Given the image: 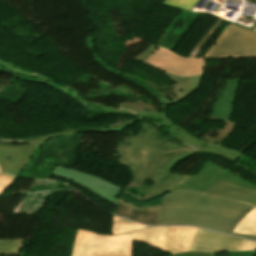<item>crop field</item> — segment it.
Here are the masks:
<instances>
[{"instance_id": "a9b5d70f", "label": "crop field", "mask_w": 256, "mask_h": 256, "mask_svg": "<svg viewBox=\"0 0 256 256\" xmlns=\"http://www.w3.org/2000/svg\"><path fill=\"white\" fill-rule=\"evenodd\" d=\"M173 256H216V253L188 252Z\"/></svg>"}, {"instance_id": "d9b57169", "label": "crop field", "mask_w": 256, "mask_h": 256, "mask_svg": "<svg viewBox=\"0 0 256 256\" xmlns=\"http://www.w3.org/2000/svg\"><path fill=\"white\" fill-rule=\"evenodd\" d=\"M0 71L1 72H7V73L15 75V76L24 77L28 80H33V81H38V82L49 84V85L65 92V93H67L71 97L76 94L75 91L71 90L70 88H68V87H66V86H64V85H62L58 82H55L53 80L47 79V78L42 77V76H39L37 74H33V73H30V72L20 70L18 68H15L13 66H10V65L2 63V62H0Z\"/></svg>"}, {"instance_id": "ae1a2a85", "label": "crop field", "mask_w": 256, "mask_h": 256, "mask_svg": "<svg viewBox=\"0 0 256 256\" xmlns=\"http://www.w3.org/2000/svg\"><path fill=\"white\" fill-rule=\"evenodd\" d=\"M72 98L75 99V101L79 102L81 105H83L85 108L87 107V105L89 104V102L87 100H85L82 96H80L78 93L73 96Z\"/></svg>"}, {"instance_id": "d1516ede", "label": "crop field", "mask_w": 256, "mask_h": 256, "mask_svg": "<svg viewBox=\"0 0 256 256\" xmlns=\"http://www.w3.org/2000/svg\"><path fill=\"white\" fill-rule=\"evenodd\" d=\"M170 129L172 131L168 134H170L172 137H175L181 140L186 144L193 146L195 150H197L198 152H209V153L218 154V155L227 157L233 160L234 162L238 159V157L241 155L244 149L248 148L250 145L255 143V141L250 142L249 144L244 146L241 149V151L238 152L229 148H225L223 146H218V145L206 142L204 140H198L196 137L191 136L190 134H188L186 131H184L177 125H172Z\"/></svg>"}, {"instance_id": "34b2d1b8", "label": "crop field", "mask_w": 256, "mask_h": 256, "mask_svg": "<svg viewBox=\"0 0 256 256\" xmlns=\"http://www.w3.org/2000/svg\"><path fill=\"white\" fill-rule=\"evenodd\" d=\"M167 227H150L123 235L77 230L70 256H133L135 241L163 250Z\"/></svg>"}, {"instance_id": "733c2abd", "label": "crop field", "mask_w": 256, "mask_h": 256, "mask_svg": "<svg viewBox=\"0 0 256 256\" xmlns=\"http://www.w3.org/2000/svg\"><path fill=\"white\" fill-rule=\"evenodd\" d=\"M114 213L149 225H157L159 216V212L138 211L132 208H127L119 203L118 208Z\"/></svg>"}, {"instance_id": "750c4746", "label": "crop field", "mask_w": 256, "mask_h": 256, "mask_svg": "<svg viewBox=\"0 0 256 256\" xmlns=\"http://www.w3.org/2000/svg\"><path fill=\"white\" fill-rule=\"evenodd\" d=\"M41 145L40 144H38V147H40Z\"/></svg>"}, {"instance_id": "28ad6ade", "label": "crop field", "mask_w": 256, "mask_h": 256, "mask_svg": "<svg viewBox=\"0 0 256 256\" xmlns=\"http://www.w3.org/2000/svg\"><path fill=\"white\" fill-rule=\"evenodd\" d=\"M158 47L154 45L148 46L144 51H142L136 58H134L135 61L145 63V60L153 53ZM156 68V67H155ZM158 69V68H156ZM160 70V69H158ZM162 73H164L166 76L170 77L174 83L175 89H173L178 99H174L172 97L165 96L164 98L159 100L160 103L165 102L167 105L176 104L180 100L186 98L190 94H192L194 91L197 90L198 87H200L202 76H195V77H179V76H173L165 71L160 70ZM161 93V92H160ZM162 94V93H161Z\"/></svg>"}, {"instance_id": "bc2a9ffb", "label": "crop field", "mask_w": 256, "mask_h": 256, "mask_svg": "<svg viewBox=\"0 0 256 256\" xmlns=\"http://www.w3.org/2000/svg\"><path fill=\"white\" fill-rule=\"evenodd\" d=\"M234 232L256 235V208L239 222Z\"/></svg>"}, {"instance_id": "4a817a6b", "label": "crop field", "mask_w": 256, "mask_h": 256, "mask_svg": "<svg viewBox=\"0 0 256 256\" xmlns=\"http://www.w3.org/2000/svg\"><path fill=\"white\" fill-rule=\"evenodd\" d=\"M144 228H147V227L113 216L111 234H120L125 232L138 231Z\"/></svg>"}, {"instance_id": "412701ff", "label": "crop field", "mask_w": 256, "mask_h": 256, "mask_svg": "<svg viewBox=\"0 0 256 256\" xmlns=\"http://www.w3.org/2000/svg\"><path fill=\"white\" fill-rule=\"evenodd\" d=\"M136 121L138 119L122 120L103 127L67 129L65 132L27 139L25 145L0 144V167L6 173L18 176L29 161L34 148L39 149L37 143L43 144L53 137L78 136L76 132H122L128 125H132Z\"/></svg>"}, {"instance_id": "4177f3b9", "label": "crop field", "mask_w": 256, "mask_h": 256, "mask_svg": "<svg viewBox=\"0 0 256 256\" xmlns=\"http://www.w3.org/2000/svg\"><path fill=\"white\" fill-rule=\"evenodd\" d=\"M250 249H256V242H249L244 240L240 250H250Z\"/></svg>"}, {"instance_id": "f4fd0767", "label": "crop field", "mask_w": 256, "mask_h": 256, "mask_svg": "<svg viewBox=\"0 0 256 256\" xmlns=\"http://www.w3.org/2000/svg\"><path fill=\"white\" fill-rule=\"evenodd\" d=\"M93 41H94V36H86V45H87V47L93 51L95 61L100 63L103 68L113 72L114 74H116V75H118V76H120V77H122L124 79H128L130 81H133V82L139 84L144 89H146L157 100L161 99L162 97H164L159 92L164 90L168 86L163 84L161 87H159V86L155 85L153 82H151V81H149L147 79L141 80V79H139V78H137V77H135V76H133L131 74H128V73L127 74H123V73H120V72L114 70L113 68L110 67V65H108L106 62H104L102 59H100L97 56V54L95 52V49H94ZM150 105L147 104L146 102H144L143 100H140L138 102L123 104L122 107L127 109V110H129V111H131V112H133L134 114L138 115L141 118L148 119L150 121L155 122L156 124H158L159 126L164 128L167 132L171 131L168 127H170L173 123L171 121H169L165 117V107L167 105L165 103L161 104V106L163 108V112L162 113H157L156 112V108H154V107H152ZM144 108L149 109L150 113H147V112L143 113V112L140 111V110H142Z\"/></svg>"}, {"instance_id": "ac0d7876", "label": "crop field", "mask_w": 256, "mask_h": 256, "mask_svg": "<svg viewBox=\"0 0 256 256\" xmlns=\"http://www.w3.org/2000/svg\"><path fill=\"white\" fill-rule=\"evenodd\" d=\"M139 210L161 211L158 225H192L256 240V236L232 233L238 222L255 207L195 191H174L164 194L162 206L135 207Z\"/></svg>"}, {"instance_id": "e52e79f7", "label": "crop field", "mask_w": 256, "mask_h": 256, "mask_svg": "<svg viewBox=\"0 0 256 256\" xmlns=\"http://www.w3.org/2000/svg\"><path fill=\"white\" fill-rule=\"evenodd\" d=\"M57 177L69 180L77 185H80L105 200H108L117 205V196L121 193L123 188L106 181L100 177L79 172L74 169H67L65 167L58 166L52 173Z\"/></svg>"}, {"instance_id": "cbeb9de0", "label": "crop field", "mask_w": 256, "mask_h": 256, "mask_svg": "<svg viewBox=\"0 0 256 256\" xmlns=\"http://www.w3.org/2000/svg\"><path fill=\"white\" fill-rule=\"evenodd\" d=\"M194 229L192 227H168L164 251L172 254L188 251Z\"/></svg>"}, {"instance_id": "5142ce71", "label": "crop field", "mask_w": 256, "mask_h": 256, "mask_svg": "<svg viewBox=\"0 0 256 256\" xmlns=\"http://www.w3.org/2000/svg\"><path fill=\"white\" fill-rule=\"evenodd\" d=\"M239 80H228L224 93L213 107L211 115L221 120H229L234 105Z\"/></svg>"}, {"instance_id": "92a150f3", "label": "crop field", "mask_w": 256, "mask_h": 256, "mask_svg": "<svg viewBox=\"0 0 256 256\" xmlns=\"http://www.w3.org/2000/svg\"><path fill=\"white\" fill-rule=\"evenodd\" d=\"M24 239L0 240V253L19 254Z\"/></svg>"}, {"instance_id": "dafd665d", "label": "crop field", "mask_w": 256, "mask_h": 256, "mask_svg": "<svg viewBox=\"0 0 256 256\" xmlns=\"http://www.w3.org/2000/svg\"><path fill=\"white\" fill-rule=\"evenodd\" d=\"M198 0H165L163 3L166 6L184 10L191 11L193 6L196 4Z\"/></svg>"}, {"instance_id": "214f88e0", "label": "crop field", "mask_w": 256, "mask_h": 256, "mask_svg": "<svg viewBox=\"0 0 256 256\" xmlns=\"http://www.w3.org/2000/svg\"><path fill=\"white\" fill-rule=\"evenodd\" d=\"M207 119L218 120L212 116H209ZM224 123H225L224 127L222 129H217L216 130L217 132L210 130L211 132L218 134L216 137L212 138L208 135L203 134V139H205L206 141L221 145V142H223V140L232 132L236 124V122H228V121H224Z\"/></svg>"}, {"instance_id": "8a807250", "label": "crop field", "mask_w": 256, "mask_h": 256, "mask_svg": "<svg viewBox=\"0 0 256 256\" xmlns=\"http://www.w3.org/2000/svg\"><path fill=\"white\" fill-rule=\"evenodd\" d=\"M195 153L165 139L154 126L144 122L133 139L117 142L114 161L131 168L133 181L123 193L143 200L170 192L192 176L169 174L181 159Z\"/></svg>"}, {"instance_id": "5a996713", "label": "crop field", "mask_w": 256, "mask_h": 256, "mask_svg": "<svg viewBox=\"0 0 256 256\" xmlns=\"http://www.w3.org/2000/svg\"><path fill=\"white\" fill-rule=\"evenodd\" d=\"M219 180L256 190L254 185L235 177L232 172H229L208 160L195 176L190 178L175 190L193 189L203 193Z\"/></svg>"}, {"instance_id": "dd49c442", "label": "crop field", "mask_w": 256, "mask_h": 256, "mask_svg": "<svg viewBox=\"0 0 256 256\" xmlns=\"http://www.w3.org/2000/svg\"><path fill=\"white\" fill-rule=\"evenodd\" d=\"M256 56V33L229 24L204 57Z\"/></svg>"}, {"instance_id": "3316defc", "label": "crop field", "mask_w": 256, "mask_h": 256, "mask_svg": "<svg viewBox=\"0 0 256 256\" xmlns=\"http://www.w3.org/2000/svg\"><path fill=\"white\" fill-rule=\"evenodd\" d=\"M241 239L196 228L189 251L223 252L239 250Z\"/></svg>"}, {"instance_id": "d8731c3e", "label": "crop field", "mask_w": 256, "mask_h": 256, "mask_svg": "<svg viewBox=\"0 0 256 256\" xmlns=\"http://www.w3.org/2000/svg\"><path fill=\"white\" fill-rule=\"evenodd\" d=\"M146 62L179 76H195L204 74V59H186L159 47Z\"/></svg>"}, {"instance_id": "22f410ed", "label": "crop field", "mask_w": 256, "mask_h": 256, "mask_svg": "<svg viewBox=\"0 0 256 256\" xmlns=\"http://www.w3.org/2000/svg\"><path fill=\"white\" fill-rule=\"evenodd\" d=\"M204 194L240 200L256 206V191L219 181Z\"/></svg>"}, {"instance_id": "eef30255", "label": "crop field", "mask_w": 256, "mask_h": 256, "mask_svg": "<svg viewBox=\"0 0 256 256\" xmlns=\"http://www.w3.org/2000/svg\"><path fill=\"white\" fill-rule=\"evenodd\" d=\"M229 256H254V251H247V252H229Z\"/></svg>"}, {"instance_id": "d3111659", "label": "crop field", "mask_w": 256, "mask_h": 256, "mask_svg": "<svg viewBox=\"0 0 256 256\" xmlns=\"http://www.w3.org/2000/svg\"><path fill=\"white\" fill-rule=\"evenodd\" d=\"M254 32H256V27H255V29H254Z\"/></svg>"}, {"instance_id": "730fd06b", "label": "crop field", "mask_w": 256, "mask_h": 256, "mask_svg": "<svg viewBox=\"0 0 256 256\" xmlns=\"http://www.w3.org/2000/svg\"><path fill=\"white\" fill-rule=\"evenodd\" d=\"M26 139H17V140H7L0 139V143H8V144H24Z\"/></svg>"}, {"instance_id": "00972430", "label": "crop field", "mask_w": 256, "mask_h": 256, "mask_svg": "<svg viewBox=\"0 0 256 256\" xmlns=\"http://www.w3.org/2000/svg\"><path fill=\"white\" fill-rule=\"evenodd\" d=\"M15 179L16 178L8 176L0 170V193H4Z\"/></svg>"}]
</instances>
